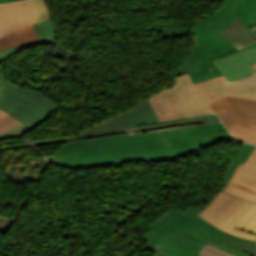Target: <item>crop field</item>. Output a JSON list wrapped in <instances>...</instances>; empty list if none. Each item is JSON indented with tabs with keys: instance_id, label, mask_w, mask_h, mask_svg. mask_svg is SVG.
I'll use <instances>...</instances> for the list:
<instances>
[{
	"instance_id": "733c2abd",
	"label": "crop field",
	"mask_w": 256,
	"mask_h": 256,
	"mask_svg": "<svg viewBox=\"0 0 256 256\" xmlns=\"http://www.w3.org/2000/svg\"><path fill=\"white\" fill-rule=\"evenodd\" d=\"M244 124L256 130V101L228 97Z\"/></svg>"
},
{
	"instance_id": "5142ce71",
	"label": "crop field",
	"mask_w": 256,
	"mask_h": 256,
	"mask_svg": "<svg viewBox=\"0 0 256 256\" xmlns=\"http://www.w3.org/2000/svg\"><path fill=\"white\" fill-rule=\"evenodd\" d=\"M171 228L172 226L167 225L164 229H160L157 233L155 232L156 234L149 239L143 249L150 250L158 243L186 254L197 256L203 247L167 233Z\"/></svg>"
},
{
	"instance_id": "bd1437ed",
	"label": "crop field",
	"mask_w": 256,
	"mask_h": 256,
	"mask_svg": "<svg viewBox=\"0 0 256 256\" xmlns=\"http://www.w3.org/2000/svg\"><path fill=\"white\" fill-rule=\"evenodd\" d=\"M231 186L235 187V188H238V189H242V190H245V191H249V192H252L254 194H256V191H253L251 189H248V188H245L243 186H240V185H237L235 183H231Z\"/></svg>"
},
{
	"instance_id": "8a807250",
	"label": "crop field",
	"mask_w": 256,
	"mask_h": 256,
	"mask_svg": "<svg viewBox=\"0 0 256 256\" xmlns=\"http://www.w3.org/2000/svg\"><path fill=\"white\" fill-rule=\"evenodd\" d=\"M176 153L158 133L118 135L67 142L55 155L58 164L87 167L126 160H167Z\"/></svg>"
},
{
	"instance_id": "120bbe31",
	"label": "crop field",
	"mask_w": 256,
	"mask_h": 256,
	"mask_svg": "<svg viewBox=\"0 0 256 256\" xmlns=\"http://www.w3.org/2000/svg\"><path fill=\"white\" fill-rule=\"evenodd\" d=\"M256 44H253V45H250V46H248V47H245V48H242V49H239L238 51H236V52H239V51H241V50H243V49H246V48H250V47H253V46H255ZM236 52H234V53H236ZM231 54H233V53H231ZM231 54H228V55H231ZM228 55H226V56H228ZM226 56H223V57H226ZM223 57H219V59H221V58H223Z\"/></svg>"
},
{
	"instance_id": "d8731c3e",
	"label": "crop field",
	"mask_w": 256,
	"mask_h": 256,
	"mask_svg": "<svg viewBox=\"0 0 256 256\" xmlns=\"http://www.w3.org/2000/svg\"><path fill=\"white\" fill-rule=\"evenodd\" d=\"M201 117H205L207 123L220 121L216 114H210V115L199 116L194 118H201ZM184 119H187V118H184ZM184 119H180V120H184ZM148 123L155 124L159 122L146 99L138 103L134 107L114 117H111L101 123H98L92 126L91 128L81 132L80 135L104 131V130L140 125V124H148Z\"/></svg>"
},
{
	"instance_id": "bc2a9ffb",
	"label": "crop field",
	"mask_w": 256,
	"mask_h": 256,
	"mask_svg": "<svg viewBox=\"0 0 256 256\" xmlns=\"http://www.w3.org/2000/svg\"><path fill=\"white\" fill-rule=\"evenodd\" d=\"M36 33L38 34L41 41L38 42H32L27 45L21 46V48L41 44V43H55L56 42V36L54 32V26L51 22V20L40 23V24H32Z\"/></svg>"
},
{
	"instance_id": "d9b57169",
	"label": "crop field",
	"mask_w": 256,
	"mask_h": 256,
	"mask_svg": "<svg viewBox=\"0 0 256 256\" xmlns=\"http://www.w3.org/2000/svg\"><path fill=\"white\" fill-rule=\"evenodd\" d=\"M219 32L237 49L256 43V40L254 39L255 37L253 38L249 29L244 25L239 17Z\"/></svg>"
},
{
	"instance_id": "a9b5d70f",
	"label": "crop field",
	"mask_w": 256,
	"mask_h": 256,
	"mask_svg": "<svg viewBox=\"0 0 256 256\" xmlns=\"http://www.w3.org/2000/svg\"><path fill=\"white\" fill-rule=\"evenodd\" d=\"M19 123L15 118L0 110V133H5Z\"/></svg>"
},
{
	"instance_id": "28ad6ade",
	"label": "crop field",
	"mask_w": 256,
	"mask_h": 256,
	"mask_svg": "<svg viewBox=\"0 0 256 256\" xmlns=\"http://www.w3.org/2000/svg\"><path fill=\"white\" fill-rule=\"evenodd\" d=\"M211 106L235 139L256 145V131L243 125L227 97Z\"/></svg>"
},
{
	"instance_id": "750c4746",
	"label": "crop field",
	"mask_w": 256,
	"mask_h": 256,
	"mask_svg": "<svg viewBox=\"0 0 256 256\" xmlns=\"http://www.w3.org/2000/svg\"><path fill=\"white\" fill-rule=\"evenodd\" d=\"M218 75H221V72L218 71L216 73H213V74H210V75H207V76H204V77H201V78H198V79H194L193 82H199V81H202V80H205V79H208V78H212V77H215V76H218Z\"/></svg>"
},
{
	"instance_id": "ae1a2a85",
	"label": "crop field",
	"mask_w": 256,
	"mask_h": 256,
	"mask_svg": "<svg viewBox=\"0 0 256 256\" xmlns=\"http://www.w3.org/2000/svg\"><path fill=\"white\" fill-rule=\"evenodd\" d=\"M236 227L256 233V222L247 218L241 220Z\"/></svg>"
},
{
	"instance_id": "92a150f3",
	"label": "crop field",
	"mask_w": 256,
	"mask_h": 256,
	"mask_svg": "<svg viewBox=\"0 0 256 256\" xmlns=\"http://www.w3.org/2000/svg\"><path fill=\"white\" fill-rule=\"evenodd\" d=\"M244 4L233 13L238 15L246 26L256 21V0H240Z\"/></svg>"
},
{
	"instance_id": "dd49c442",
	"label": "crop field",
	"mask_w": 256,
	"mask_h": 256,
	"mask_svg": "<svg viewBox=\"0 0 256 256\" xmlns=\"http://www.w3.org/2000/svg\"><path fill=\"white\" fill-rule=\"evenodd\" d=\"M29 1H18L0 5V51L39 38L31 23H36Z\"/></svg>"
},
{
	"instance_id": "412701ff",
	"label": "crop field",
	"mask_w": 256,
	"mask_h": 256,
	"mask_svg": "<svg viewBox=\"0 0 256 256\" xmlns=\"http://www.w3.org/2000/svg\"><path fill=\"white\" fill-rule=\"evenodd\" d=\"M0 108L33 128L57 106L40 92L17 87L0 74Z\"/></svg>"
},
{
	"instance_id": "22f410ed",
	"label": "crop field",
	"mask_w": 256,
	"mask_h": 256,
	"mask_svg": "<svg viewBox=\"0 0 256 256\" xmlns=\"http://www.w3.org/2000/svg\"><path fill=\"white\" fill-rule=\"evenodd\" d=\"M231 182L256 190V159L249 156L243 166L239 165L232 179L224 189L226 193L256 202V195L229 186Z\"/></svg>"
},
{
	"instance_id": "f4fd0767",
	"label": "crop field",
	"mask_w": 256,
	"mask_h": 256,
	"mask_svg": "<svg viewBox=\"0 0 256 256\" xmlns=\"http://www.w3.org/2000/svg\"><path fill=\"white\" fill-rule=\"evenodd\" d=\"M197 216L227 233L256 241V235L233 228L245 217L256 220V203L220 192Z\"/></svg>"
},
{
	"instance_id": "3316defc",
	"label": "crop field",
	"mask_w": 256,
	"mask_h": 256,
	"mask_svg": "<svg viewBox=\"0 0 256 256\" xmlns=\"http://www.w3.org/2000/svg\"><path fill=\"white\" fill-rule=\"evenodd\" d=\"M213 62L230 81L244 79L256 72L251 66L256 64V47Z\"/></svg>"
},
{
	"instance_id": "00972430",
	"label": "crop field",
	"mask_w": 256,
	"mask_h": 256,
	"mask_svg": "<svg viewBox=\"0 0 256 256\" xmlns=\"http://www.w3.org/2000/svg\"><path fill=\"white\" fill-rule=\"evenodd\" d=\"M35 12L38 22L50 19L49 9L44 0H29Z\"/></svg>"
},
{
	"instance_id": "d1516ede",
	"label": "crop field",
	"mask_w": 256,
	"mask_h": 256,
	"mask_svg": "<svg viewBox=\"0 0 256 256\" xmlns=\"http://www.w3.org/2000/svg\"><path fill=\"white\" fill-rule=\"evenodd\" d=\"M148 100L160 122L186 117L173 87Z\"/></svg>"
},
{
	"instance_id": "0bd39190",
	"label": "crop field",
	"mask_w": 256,
	"mask_h": 256,
	"mask_svg": "<svg viewBox=\"0 0 256 256\" xmlns=\"http://www.w3.org/2000/svg\"><path fill=\"white\" fill-rule=\"evenodd\" d=\"M253 67L255 68V70H256V65H253Z\"/></svg>"
},
{
	"instance_id": "028f5c9d",
	"label": "crop field",
	"mask_w": 256,
	"mask_h": 256,
	"mask_svg": "<svg viewBox=\"0 0 256 256\" xmlns=\"http://www.w3.org/2000/svg\"><path fill=\"white\" fill-rule=\"evenodd\" d=\"M156 256H167V255H163V254H159V253H157V255Z\"/></svg>"
},
{
	"instance_id": "4177f3b9",
	"label": "crop field",
	"mask_w": 256,
	"mask_h": 256,
	"mask_svg": "<svg viewBox=\"0 0 256 256\" xmlns=\"http://www.w3.org/2000/svg\"><path fill=\"white\" fill-rule=\"evenodd\" d=\"M31 128L26 126L25 124L21 123L18 126L14 127L10 131L6 132L5 134H0V139L7 138V137H18L26 133Z\"/></svg>"
},
{
	"instance_id": "5a996713",
	"label": "crop field",
	"mask_w": 256,
	"mask_h": 256,
	"mask_svg": "<svg viewBox=\"0 0 256 256\" xmlns=\"http://www.w3.org/2000/svg\"><path fill=\"white\" fill-rule=\"evenodd\" d=\"M169 225L174 226L169 233L198 243L202 246L209 240L216 227L208 224L199 217L184 213Z\"/></svg>"
},
{
	"instance_id": "730fd06b",
	"label": "crop field",
	"mask_w": 256,
	"mask_h": 256,
	"mask_svg": "<svg viewBox=\"0 0 256 256\" xmlns=\"http://www.w3.org/2000/svg\"><path fill=\"white\" fill-rule=\"evenodd\" d=\"M199 256H232L221 250H218L212 246L205 245V247L200 252Z\"/></svg>"
},
{
	"instance_id": "ac0d7876",
	"label": "crop field",
	"mask_w": 256,
	"mask_h": 256,
	"mask_svg": "<svg viewBox=\"0 0 256 256\" xmlns=\"http://www.w3.org/2000/svg\"><path fill=\"white\" fill-rule=\"evenodd\" d=\"M174 82V88L187 117L213 113L209 104L225 96L256 100V74L234 83H229L221 75L196 84L185 74L175 78Z\"/></svg>"
},
{
	"instance_id": "1d83c4d3",
	"label": "crop field",
	"mask_w": 256,
	"mask_h": 256,
	"mask_svg": "<svg viewBox=\"0 0 256 256\" xmlns=\"http://www.w3.org/2000/svg\"><path fill=\"white\" fill-rule=\"evenodd\" d=\"M185 212L197 215L199 212H201V210L190 208Z\"/></svg>"
},
{
	"instance_id": "214f88e0",
	"label": "crop field",
	"mask_w": 256,
	"mask_h": 256,
	"mask_svg": "<svg viewBox=\"0 0 256 256\" xmlns=\"http://www.w3.org/2000/svg\"><path fill=\"white\" fill-rule=\"evenodd\" d=\"M183 211L180 210H174L171 209L168 212H166L164 215L159 217L157 220H155L153 223H151L148 228L150 231L146 233L141 238L148 241V239L157 232L160 228H164L169 222H171L173 219H175L177 216L181 215Z\"/></svg>"
},
{
	"instance_id": "dafd665d",
	"label": "crop field",
	"mask_w": 256,
	"mask_h": 256,
	"mask_svg": "<svg viewBox=\"0 0 256 256\" xmlns=\"http://www.w3.org/2000/svg\"><path fill=\"white\" fill-rule=\"evenodd\" d=\"M255 148V146L252 145H248V144H244V146L241 148V150L238 152L235 160L233 161L227 177H226V181H225V186L228 183V181L230 180L233 172L235 171V169L238 167L239 164L243 165L244 162L246 161V159L248 158L250 152ZM224 189V188H223ZM223 189L221 191H223Z\"/></svg>"
},
{
	"instance_id": "d32e631a",
	"label": "crop field",
	"mask_w": 256,
	"mask_h": 256,
	"mask_svg": "<svg viewBox=\"0 0 256 256\" xmlns=\"http://www.w3.org/2000/svg\"><path fill=\"white\" fill-rule=\"evenodd\" d=\"M251 156L255 157L256 158V149H254L251 153Z\"/></svg>"
},
{
	"instance_id": "e1f06a70",
	"label": "crop field",
	"mask_w": 256,
	"mask_h": 256,
	"mask_svg": "<svg viewBox=\"0 0 256 256\" xmlns=\"http://www.w3.org/2000/svg\"><path fill=\"white\" fill-rule=\"evenodd\" d=\"M253 256H256V250H255V252H254V255Z\"/></svg>"
},
{
	"instance_id": "cbeb9de0",
	"label": "crop field",
	"mask_w": 256,
	"mask_h": 256,
	"mask_svg": "<svg viewBox=\"0 0 256 256\" xmlns=\"http://www.w3.org/2000/svg\"><path fill=\"white\" fill-rule=\"evenodd\" d=\"M207 244L235 256H251L256 247L255 241L238 238L219 229H216Z\"/></svg>"
},
{
	"instance_id": "4a817a6b",
	"label": "crop field",
	"mask_w": 256,
	"mask_h": 256,
	"mask_svg": "<svg viewBox=\"0 0 256 256\" xmlns=\"http://www.w3.org/2000/svg\"><path fill=\"white\" fill-rule=\"evenodd\" d=\"M241 4L243 3L238 0H225L223 7L216 14L206 19L224 28L238 17L232 12Z\"/></svg>"
},
{
	"instance_id": "34b2d1b8",
	"label": "crop field",
	"mask_w": 256,
	"mask_h": 256,
	"mask_svg": "<svg viewBox=\"0 0 256 256\" xmlns=\"http://www.w3.org/2000/svg\"><path fill=\"white\" fill-rule=\"evenodd\" d=\"M221 29L206 19L195 24L194 46L188 58L178 66L175 77L188 73L193 79L219 70L209 61L237 50L218 32Z\"/></svg>"
},
{
	"instance_id": "e52e79f7",
	"label": "crop field",
	"mask_w": 256,
	"mask_h": 256,
	"mask_svg": "<svg viewBox=\"0 0 256 256\" xmlns=\"http://www.w3.org/2000/svg\"><path fill=\"white\" fill-rule=\"evenodd\" d=\"M159 133L178 156L223 138L233 139L221 123L161 130ZM201 146H197L198 144Z\"/></svg>"
},
{
	"instance_id": "d3111659",
	"label": "crop field",
	"mask_w": 256,
	"mask_h": 256,
	"mask_svg": "<svg viewBox=\"0 0 256 256\" xmlns=\"http://www.w3.org/2000/svg\"><path fill=\"white\" fill-rule=\"evenodd\" d=\"M20 50V47L6 49L0 52V61L10 57L11 55L15 54L17 51Z\"/></svg>"
},
{
	"instance_id": "eef30255",
	"label": "crop field",
	"mask_w": 256,
	"mask_h": 256,
	"mask_svg": "<svg viewBox=\"0 0 256 256\" xmlns=\"http://www.w3.org/2000/svg\"><path fill=\"white\" fill-rule=\"evenodd\" d=\"M151 251L160 252V253L167 254V255H170V256H189V255H186L184 253H181V252H178V251H175V250L163 247V246L158 245V244H156L151 249Z\"/></svg>"
},
{
	"instance_id": "5866460e",
	"label": "crop field",
	"mask_w": 256,
	"mask_h": 256,
	"mask_svg": "<svg viewBox=\"0 0 256 256\" xmlns=\"http://www.w3.org/2000/svg\"><path fill=\"white\" fill-rule=\"evenodd\" d=\"M10 1H15V0H0V3H6V2H10Z\"/></svg>"
}]
</instances>
